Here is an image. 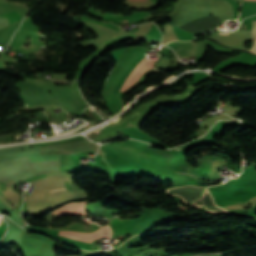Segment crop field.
Returning <instances> with one entry per match:
<instances>
[{
	"instance_id": "e52e79f7",
	"label": "crop field",
	"mask_w": 256,
	"mask_h": 256,
	"mask_svg": "<svg viewBox=\"0 0 256 256\" xmlns=\"http://www.w3.org/2000/svg\"><path fill=\"white\" fill-rule=\"evenodd\" d=\"M144 59H146V57H144V58L140 59V62H141V61H143Z\"/></svg>"
},
{
	"instance_id": "8a807250",
	"label": "crop field",
	"mask_w": 256,
	"mask_h": 256,
	"mask_svg": "<svg viewBox=\"0 0 256 256\" xmlns=\"http://www.w3.org/2000/svg\"><path fill=\"white\" fill-rule=\"evenodd\" d=\"M106 229H107V237H110V230L108 227H106ZM102 232H103V237H106V230L104 227H102ZM60 235H64L67 237L78 239L80 241H87V242H92L94 239L102 238L101 227L92 233L63 231V232H60ZM67 237L60 236L58 240L73 247H80L88 250L90 249L91 243L80 242L78 240L67 238Z\"/></svg>"
},
{
	"instance_id": "dd49c442",
	"label": "crop field",
	"mask_w": 256,
	"mask_h": 256,
	"mask_svg": "<svg viewBox=\"0 0 256 256\" xmlns=\"http://www.w3.org/2000/svg\"><path fill=\"white\" fill-rule=\"evenodd\" d=\"M252 23H253V26H252L253 45L251 46L248 52L256 55V21H252ZM223 34H228V33H223Z\"/></svg>"
},
{
	"instance_id": "5a996713",
	"label": "crop field",
	"mask_w": 256,
	"mask_h": 256,
	"mask_svg": "<svg viewBox=\"0 0 256 256\" xmlns=\"http://www.w3.org/2000/svg\"><path fill=\"white\" fill-rule=\"evenodd\" d=\"M194 206H198V207H200V205L198 204V205H194Z\"/></svg>"
},
{
	"instance_id": "d8731c3e",
	"label": "crop field",
	"mask_w": 256,
	"mask_h": 256,
	"mask_svg": "<svg viewBox=\"0 0 256 256\" xmlns=\"http://www.w3.org/2000/svg\"><path fill=\"white\" fill-rule=\"evenodd\" d=\"M124 21H120V23H123ZM125 22H127V20L125 21Z\"/></svg>"
},
{
	"instance_id": "412701ff",
	"label": "crop field",
	"mask_w": 256,
	"mask_h": 256,
	"mask_svg": "<svg viewBox=\"0 0 256 256\" xmlns=\"http://www.w3.org/2000/svg\"><path fill=\"white\" fill-rule=\"evenodd\" d=\"M27 163H29L27 157L12 159V160H4V161L0 162V173H2L3 171H5L11 167H15V166L27 164Z\"/></svg>"
},
{
	"instance_id": "3316defc",
	"label": "crop field",
	"mask_w": 256,
	"mask_h": 256,
	"mask_svg": "<svg viewBox=\"0 0 256 256\" xmlns=\"http://www.w3.org/2000/svg\"><path fill=\"white\" fill-rule=\"evenodd\" d=\"M234 16V15H233Z\"/></svg>"
},
{
	"instance_id": "34b2d1b8",
	"label": "crop field",
	"mask_w": 256,
	"mask_h": 256,
	"mask_svg": "<svg viewBox=\"0 0 256 256\" xmlns=\"http://www.w3.org/2000/svg\"><path fill=\"white\" fill-rule=\"evenodd\" d=\"M47 191H54V190H61V189H67L64 181L62 180H52V181H47L39 184H35Z\"/></svg>"
},
{
	"instance_id": "ac0d7876",
	"label": "crop field",
	"mask_w": 256,
	"mask_h": 256,
	"mask_svg": "<svg viewBox=\"0 0 256 256\" xmlns=\"http://www.w3.org/2000/svg\"><path fill=\"white\" fill-rule=\"evenodd\" d=\"M87 203V201L83 202H77V203H69L66 204L53 212L49 214H55V215H87L84 211V205Z\"/></svg>"
},
{
	"instance_id": "f4fd0767",
	"label": "crop field",
	"mask_w": 256,
	"mask_h": 256,
	"mask_svg": "<svg viewBox=\"0 0 256 256\" xmlns=\"http://www.w3.org/2000/svg\"><path fill=\"white\" fill-rule=\"evenodd\" d=\"M31 163L35 162H43V161H49V160H60V155H44V156H30L29 157Z\"/></svg>"
}]
</instances>
